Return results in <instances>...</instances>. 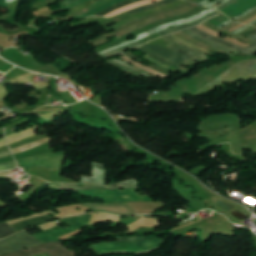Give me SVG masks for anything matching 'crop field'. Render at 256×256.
<instances>
[{
	"instance_id": "1",
	"label": "crop field",
	"mask_w": 256,
	"mask_h": 256,
	"mask_svg": "<svg viewBox=\"0 0 256 256\" xmlns=\"http://www.w3.org/2000/svg\"><path fill=\"white\" fill-rule=\"evenodd\" d=\"M75 216H79V215H75ZM75 216H71V217H75ZM90 216L91 215H84L76 218H71V217L60 218V219L71 218V219L61 220L62 222L68 223L70 225V228L63 229L60 227H56L44 232L32 234V236H34L41 243L56 241L58 240V237L68 234L70 232L76 231V229H79L87 225L90 220ZM32 236L26 231H24V232L15 234L7 239L1 240L0 255L14 252L25 247L40 244V242H38Z\"/></svg>"
},
{
	"instance_id": "2",
	"label": "crop field",
	"mask_w": 256,
	"mask_h": 256,
	"mask_svg": "<svg viewBox=\"0 0 256 256\" xmlns=\"http://www.w3.org/2000/svg\"><path fill=\"white\" fill-rule=\"evenodd\" d=\"M164 243L163 239L155 236L149 237H121L118 243H101L90 245L100 255L114 253H144L151 251Z\"/></svg>"
},
{
	"instance_id": "3",
	"label": "crop field",
	"mask_w": 256,
	"mask_h": 256,
	"mask_svg": "<svg viewBox=\"0 0 256 256\" xmlns=\"http://www.w3.org/2000/svg\"><path fill=\"white\" fill-rule=\"evenodd\" d=\"M164 38L171 43L170 45L167 46V48H169L177 53H180L182 55H185V56H187L193 60H196V61H210L209 58L207 57V55H205L199 51H196L194 49H191L185 45L180 44L172 37L168 36V37H164ZM143 47L153 51L154 53H156L168 60L177 62V63L182 64L187 67L193 68V66L196 64V62H193L180 54L172 52L161 45L148 46L145 44V45H143ZM199 57H201L202 60H198Z\"/></svg>"
},
{
	"instance_id": "4",
	"label": "crop field",
	"mask_w": 256,
	"mask_h": 256,
	"mask_svg": "<svg viewBox=\"0 0 256 256\" xmlns=\"http://www.w3.org/2000/svg\"><path fill=\"white\" fill-rule=\"evenodd\" d=\"M256 76V59L248 61H239L232 68L226 70L215 79L210 81L196 93L191 96H197L202 93H207L215 89L221 83L232 82V81H248Z\"/></svg>"
},
{
	"instance_id": "5",
	"label": "crop field",
	"mask_w": 256,
	"mask_h": 256,
	"mask_svg": "<svg viewBox=\"0 0 256 256\" xmlns=\"http://www.w3.org/2000/svg\"><path fill=\"white\" fill-rule=\"evenodd\" d=\"M136 190H95V191H79L82 195L99 198L107 203L113 202H131V201H153L148 196H139L135 194Z\"/></svg>"
},
{
	"instance_id": "6",
	"label": "crop field",
	"mask_w": 256,
	"mask_h": 256,
	"mask_svg": "<svg viewBox=\"0 0 256 256\" xmlns=\"http://www.w3.org/2000/svg\"><path fill=\"white\" fill-rule=\"evenodd\" d=\"M64 157L65 152H57L25 158L17 160L16 162L20 168L29 166H43L51 169H60L62 168Z\"/></svg>"
},
{
	"instance_id": "7",
	"label": "crop field",
	"mask_w": 256,
	"mask_h": 256,
	"mask_svg": "<svg viewBox=\"0 0 256 256\" xmlns=\"http://www.w3.org/2000/svg\"><path fill=\"white\" fill-rule=\"evenodd\" d=\"M45 251H47L50 256H75V251H67L61 242L41 244L31 247L29 251L21 250L3 256H30Z\"/></svg>"
},
{
	"instance_id": "8",
	"label": "crop field",
	"mask_w": 256,
	"mask_h": 256,
	"mask_svg": "<svg viewBox=\"0 0 256 256\" xmlns=\"http://www.w3.org/2000/svg\"><path fill=\"white\" fill-rule=\"evenodd\" d=\"M213 11H215V10L208 9V10L202 12L201 14H199V15H197V16H193V17L186 18V19H183V20H180V21H177V22H173V23H170V24L161 26V27L154 28V29H152V30H149V31H147V32H145V33H142V34L136 36L135 39H133V40H131V41H126V42H124V43H122V44H120V45H116V46H114V47H111V48H109V49H106V50L101 51V52L96 53V54L99 55V56H101V55L106 54V53H108V52H111V51H113V50H115V49H118V48H121V47H123V46H126V45H128V44H130V43L136 42V41H138V40H140V39H142V38L148 37V36H150V35H152V34H154V33H156V32L162 31V30H164V29H166V28H169V27H172V26H178V25H181V24H184V23H188V22L194 21V20H196V19L202 18V17H204L205 15H207V14L213 12Z\"/></svg>"
},
{
	"instance_id": "9",
	"label": "crop field",
	"mask_w": 256,
	"mask_h": 256,
	"mask_svg": "<svg viewBox=\"0 0 256 256\" xmlns=\"http://www.w3.org/2000/svg\"><path fill=\"white\" fill-rule=\"evenodd\" d=\"M48 220H51L49 215L43 216V217H40V218H36V219H33V220L21 222V223H18V224H14V225H11V227L16 232H19L23 229H26L28 227H32L36 224H39V223H42V222H45V221H48ZM11 227L6 222L0 224V239L8 237V236L16 233Z\"/></svg>"
},
{
	"instance_id": "10",
	"label": "crop field",
	"mask_w": 256,
	"mask_h": 256,
	"mask_svg": "<svg viewBox=\"0 0 256 256\" xmlns=\"http://www.w3.org/2000/svg\"><path fill=\"white\" fill-rule=\"evenodd\" d=\"M189 29H190L191 31H193L194 33H196V34H198V35H200V36H202V37H205V38H207V39H210V40H212V41H214V42H217V43H219V44L228 46V47H230V48H233V49H236V50H239V51H242V52L247 53V54H250V55H252V56H254V55L256 54V47H255V46H256V43L253 44L252 46H250V47L244 49V48H241V47H239V46H237V45L230 44V43H228V42H226V41H224V40H222V39L213 37V36H211V35H209V34L203 32V31H201V30H199V29H197V28H195V27L189 28ZM248 39L256 41V34L253 35L252 37L248 38Z\"/></svg>"
},
{
	"instance_id": "11",
	"label": "crop field",
	"mask_w": 256,
	"mask_h": 256,
	"mask_svg": "<svg viewBox=\"0 0 256 256\" xmlns=\"http://www.w3.org/2000/svg\"><path fill=\"white\" fill-rule=\"evenodd\" d=\"M106 62H108V63H110V64H112V65L122 69L123 71H125V72H127V73H129V74H131L133 76H136V77H138L140 79H142L141 76H144L147 79L158 78L156 76L150 75L149 73H147V72H145V71H143V70H141V69H139L137 67L129 65V64H127V63H125V62H123V61H121L119 59H112V60H109V61H106Z\"/></svg>"
},
{
	"instance_id": "12",
	"label": "crop field",
	"mask_w": 256,
	"mask_h": 256,
	"mask_svg": "<svg viewBox=\"0 0 256 256\" xmlns=\"http://www.w3.org/2000/svg\"><path fill=\"white\" fill-rule=\"evenodd\" d=\"M106 171L104 165L93 163V177L85 178L82 176L81 183L105 185Z\"/></svg>"
},
{
	"instance_id": "13",
	"label": "crop field",
	"mask_w": 256,
	"mask_h": 256,
	"mask_svg": "<svg viewBox=\"0 0 256 256\" xmlns=\"http://www.w3.org/2000/svg\"><path fill=\"white\" fill-rule=\"evenodd\" d=\"M51 188L63 189V190H86V189H109L110 187H101V186H89V185H74V184H53ZM112 189V188H111Z\"/></svg>"
},
{
	"instance_id": "14",
	"label": "crop field",
	"mask_w": 256,
	"mask_h": 256,
	"mask_svg": "<svg viewBox=\"0 0 256 256\" xmlns=\"http://www.w3.org/2000/svg\"><path fill=\"white\" fill-rule=\"evenodd\" d=\"M219 14H221V13L215 12V13L210 14V15H208V16H206V17L200 19V20H197V21L193 22V23H190V24H187V25H183V26H179V27L170 28V29L164 30V31H162V32H159V34H160L161 36H165V35H168V34L177 32V31H179V30H183V29L189 28V27H191V26L198 25V24L202 23L203 21H205V20H207V19H210V18H212V17H214V16H216V15H219Z\"/></svg>"
},
{
	"instance_id": "15",
	"label": "crop field",
	"mask_w": 256,
	"mask_h": 256,
	"mask_svg": "<svg viewBox=\"0 0 256 256\" xmlns=\"http://www.w3.org/2000/svg\"><path fill=\"white\" fill-rule=\"evenodd\" d=\"M183 32L186 33L187 35H189V36H191V37H193V38H195V39H197V40L203 42V43H206V44H209V45H211V46H214V47H216V48H218V49H220V50H224V51L231 52V53H235V54L239 53V51L230 49V48H228V47L219 45V44L214 43V42H211V41H209V40H207V39H205V38H202V37H200V36H198V35L192 33V32L189 31V30L183 31Z\"/></svg>"
},
{
	"instance_id": "16",
	"label": "crop field",
	"mask_w": 256,
	"mask_h": 256,
	"mask_svg": "<svg viewBox=\"0 0 256 256\" xmlns=\"http://www.w3.org/2000/svg\"><path fill=\"white\" fill-rule=\"evenodd\" d=\"M137 50H139V51H141V52H143V53H145V54H147V55H149V56H151V57L157 59L158 61H160V62H162V63H164V64H166V65H169V66H172V67H175V66H176L177 69L182 70V71H185V72L190 71V69L183 68V67H181V66H179V65H176L177 63L174 64V63H172V62H170V61H168V60H165V59H163V58L157 56L156 54H154V53H152V52H150V51H148V50H146V49H144V48H142V47L139 48V49H137Z\"/></svg>"
},
{
	"instance_id": "17",
	"label": "crop field",
	"mask_w": 256,
	"mask_h": 256,
	"mask_svg": "<svg viewBox=\"0 0 256 256\" xmlns=\"http://www.w3.org/2000/svg\"><path fill=\"white\" fill-rule=\"evenodd\" d=\"M174 1H177V0H162V1H159V2L154 3V4H150V5L138 7V8L133 9V10H129V11L125 12V13L136 14V13L144 11L146 9L154 8V7H157V6H160V5H163V4H167V3H171V2H174Z\"/></svg>"
},
{
	"instance_id": "18",
	"label": "crop field",
	"mask_w": 256,
	"mask_h": 256,
	"mask_svg": "<svg viewBox=\"0 0 256 256\" xmlns=\"http://www.w3.org/2000/svg\"><path fill=\"white\" fill-rule=\"evenodd\" d=\"M121 58L125 59L126 61L130 62L131 64H133V65H135V66H137V67H139L143 70H146V71H148V72H150V73H152V74H154L158 77H162V78L168 77V76H164V75H162V74H160V73H158V72H156V71H154V70H152V69H150V68H148V67H146V66H144V65H142V64L126 57V56H124V55L121 56Z\"/></svg>"
},
{
	"instance_id": "19",
	"label": "crop field",
	"mask_w": 256,
	"mask_h": 256,
	"mask_svg": "<svg viewBox=\"0 0 256 256\" xmlns=\"http://www.w3.org/2000/svg\"><path fill=\"white\" fill-rule=\"evenodd\" d=\"M155 1H157V0H144V1L136 2V3H133V4L128 5L126 7L120 8V9H118V10H116V11H114V12H112V13L104 16V17H110V16L116 15V14L122 12V11L132 9L136 6L143 5V4H146V3H149V2H155Z\"/></svg>"
},
{
	"instance_id": "20",
	"label": "crop field",
	"mask_w": 256,
	"mask_h": 256,
	"mask_svg": "<svg viewBox=\"0 0 256 256\" xmlns=\"http://www.w3.org/2000/svg\"><path fill=\"white\" fill-rule=\"evenodd\" d=\"M122 1H124V0H115V1H112V2H110V3H108V4H106V5H104V6L100 7V8H98V9L92 10V11H90V12H88V13H85V14H83V15L77 17V18H86V17L93 16V15H95L96 13H98V12H100V11H102V10H104V9H106V8H108V7L112 6V5H114V4L120 3V2H122Z\"/></svg>"
},
{
	"instance_id": "21",
	"label": "crop field",
	"mask_w": 256,
	"mask_h": 256,
	"mask_svg": "<svg viewBox=\"0 0 256 256\" xmlns=\"http://www.w3.org/2000/svg\"><path fill=\"white\" fill-rule=\"evenodd\" d=\"M197 28H199V29H201V30H203V31H206V32H208V33H210V34H212V35H214V36H216V37H219V34H218V33L214 32V31H212V30H209V29H207L206 27H204V26H202V25L197 26ZM219 38H220V37H219ZM226 40H228V41H230V42H233V43H235V44H237V45H240V46H242V47L250 46L249 44L242 43V42H240V41H238V40H236V39L230 38V37H226Z\"/></svg>"
},
{
	"instance_id": "22",
	"label": "crop field",
	"mask_w": 256,
	"mask_h": 256,
	"mask_svg": "<svg viewBox=\"0 0 256 256\" xmlns=\"http://www.w3.org/2000/svg\"><path fill=\"white\" fill-rule=\"evenodd\" d=\"M136 1H140V0H127V1L122 2V3H120V4L114 5V6L110 7V8H108V9H106V10H104V11L98 13V14L95 15V16H103V15H105V14H107V13H109V12H111V11L117 9V8L126 6V5L131 4V3H133V2H136Z\"/></svg>"
},
{
	"instance_id": "23",
	"label": "crop field",
	"mask_w": 256,
	"mask_h": 256,
	"mask_svg": "<svg viewBox=\"0 0 256 256\" xmlns=\"http://www.w3.org/2000/svg\"><path fill=\"white\" fill-rule=\"evenodd\" d=\"M111 187L115 189L137 188L135 180L125 181L123 183H114Z\"/></svg>"
},
{
	"instance_id": "24",
	"label": "crop field",
	"mask_w": 256,
	"mask_h": 256,
	"mask_svg": "<svg viewBox=\"0 0 256 256\" xmlns=\"http://www.w3.org/2000/svg\"><path fill=\"white\" fill-rule=\"evenodd\" d=\"M227 1L228 0H215L214 2L211 3L210 0H205V1L200 2L199 4H202V5H205V6L209 7V8L218 10V8L216 7V4L218 2H221L223 4V3L227 2ZM222 4H220V5H222Z\"/></svg>"
},
{
	"instance_id": "25",
	"label": "crop field",
	"mask_w": 256,
	"mask_h": 256,
	"mask_svg": "<svg viewBox=\"0 0 256 256\" xmlns=\"http://www.w3.org/2000/svg\"><path fill=\"white\" fill-rule=\"evenodd\" d=\"M125 55H127V56H129V57H131V58H133V59H135V60H137L136 57H135V55H133V54L130 53V52L126 53ZM137 61H138V60H137ZM139 62H140V61H139ZM141 63H142V62H141ZM143 64H144V63H143ZM145 65H146V64H145ZM147 66H149V67H151V68H153V69H155V70H157V71H159V72H161V73H163V74H165V75L170 76L169 72L163 70V69L160 68V67H157V66L152 65V64H149V65H147Z\"/></svg>"
},
{
	"instance_id": "26",
	"label": "crop field",
	"mask_w": 256,
	"mask_h": 256,
	"mask_svg": "<svg viewBox=\"0 0 256 256\" xmlns=\"http://www.w3.org/2000/svg\"><path fill=\"white\" fill-rule=\"evenodd\" d=\"M170 36H172V37L175 38L177 41H179V42H181V43H183V44H185V45H187V46H189V47H192V48H194V49H197V50H200V51H202V52L207 53L206 50L201 49V48H198V47H196V46H194V45H192V44L186 42L185 40L181 39L180 37H178V36H176V35H174V34H172V35H170ZM207 54H209V53H207ZM209 55H211V54H209ZM211 56H214V55H211Z\"/></svg>"
},
{
	"instance_id": "27",
	"label": "crop field",
	"mask_w": 256,
	"mask_h": 256,
	"mask_svg": "<svg viewBox=\"0 0 256 256\" xmlns=\"http://www.w3.org/2000/svg\"><path fill=\"white\" fill-rule=\"evenodd\" d=\"M97 1H99V0H91V1H89V2H87V3H85V4H83V5H81V6L77 7V8H75V9L70 10V11H69V14L75 13V12H78V11H81V10H83V9H85V8H87V7H89L90 5L94 4V3L97 2Z\"/></svg>"
},
{
	"instance_id": "28",
	"label": "crop field",
	"mask_w": 256,
	"mask_h": 256,
	"mask_svg": "<svg viewBox=\"0 0 256 256\" xmlns=\"http://www.w3.org/2000/svg\"><path fill=\"white\" fill-rule=\"evenodd\" d=\"M13 168H16L15 161L4 163V164H0V171L11 170Z\"/></svg>"
},
{
	"instance_id": "29",
	"label": "crop field",
	"mask_w": 256,
	"mask_h": 256,
	"mask_svg": "<svg viewBox=\"0 0 256 256\" xmlns=\"http://www.w3.org/2000/svg\"><path fill=\"white\" fill-rule=\"evenodd\" d=\"M139 45H141V44H140V43H136V44L131 45V46L126 47V48H136V47H138ZM126 48H123V49H121V50H118V51H115V52H112V53H109V54H106V55H103L102 57L107 58V57H110V56H113V55L122 53L123 50L126 49Z\"/></svg>"
},
{
	"instance_id": "30",
	"label": "crop field",
	"mask_w": 256,
	"mask_h": 256,
	"mask_svg": "<svg viewBox=\"0 0 256 256\" xmlns=\"http://www.w3.org/2000/svg\"><path fill=\"white\" fill-rule=\"evenodd\" d=\"M255 9H256V6L253 7V8H251V9H249L248 11H246V12H244V13H242V14L236 16V17H234L233 19H235V20L237 21L238 19H241L242 17H244V16H246L247 14L251 13V12L254 11Z\"/></svg>"
},
{
	"instance_id": "31",
	"label": "crop field",
	"mask_w": 256,
	"mask_h": 256,
	"mask_svg": "<svg viewBox=\"0 0 256 256\" xmlns=\"http://www.w3.org/2000/svg\"><path fill=\"white\" fill-rule=\"evenodd\" d=\"M251 26H244V27H242V28H240V29H238V30H236V31H234L233 33H235V34H238V33H240V32H242V31H244V30H246V29H248V28H250Z\"/></svg>"
},
{
	"instance_id": "32",
	"label": "crop field",
	"mask_w": 256,
	"mask_h": 256,
	"mask_svg": "<svg viewBox=\"0 0 256 256\" xmlns=\"http://www.w3.org/2000/svg\"><path fill=\"white\" fill-rule=\"evenodd\" d=\"M76 1H78V0H68V1L60 3V6L63 7L65 5H67V4H70V3H73V2H76Z\"/></svg>"
},
{
	"instance_id": "33",
	"label": "crop field",
	"mask_w": 256,
	"mask_h": 256,
	"mask_svg": "<svg viewBox=\"0 0 256 256\" xmlns=\"http://www.w3.org/2000/svg\"><path fill=\"white\" fill-rule=\"evenodd\" d=\"M235 0H230L227 3H225L224 5H222L221 7H219V11L223 10L225 7H227L229 4H231L232 2H234Z\"/></svg>"
},
{
	"instance_id": "34",
	"label": "crop field",
	"mask_w": 256,
	"mask_h": 256,
	"mask_svg": "<svg viewBox=\"0 0 256 256\" xmlns=\"http://www.w3.org/2000/svg\"><path fill=\"white\" fill-rule=\"evenodd\" d=\"M8 155H11L10 150H8V151H6V152H3V153H0V158L5 157V156H8Z\"/></svg>"
},
{
	"instance_id": "35",
	"label": "crop field",
	"mask_w": 256,
	"mask_h": 256,
	"mask_svg": "<svg viewBox=\"0 0 256 256\" xmlns=\"http://www.w3.org/2000/svg\"><path fill=\"white\" fill-rule=\"evenodd\" d=\"M242 26H244V25H243V24H239V25H237V26H235V27L229 29L228 31L232 32V31H234V30H236V29H238V28H240V27H242Z\"/></svg>"
},
{
	"instance_id": "36",
	"label": "crop field",
	"mask_w": 256,
	"mask_h": 256,
	"mask_svg": "<svg viewBox=\"0 0 256 256\" xmlns=\"http://www.w3.org/2000/svg\"><path fill=\"white\" fill-rule=\"evenodd\" d=\"M4 1H5V0H0V6L7 7V8H8L9 4L5 3Z\"/></svg>"
},
{
	"instance_id": "37",
	"label": "crop field",
	"mask_w": 256,
	"mask_h": 256,
	"mask_svg": "<svg viewBox=\"0 0 256 256\" xmlns=\"http://www.w3.org/2000/svg\"><path fill=\"white\" fill-rule=\"evenodd\" d=\"M255 19H256V16H254L251 19L247 20L246 22H244V24H248V23L254 21Z\"/></svg>"
},
{
	"instance_id": "38",
	"label": "crop field",
	"mask_w": 256,
	"mask_h": 256,
	"mask_svg": "<svg viewBox=\"0 0 256 256\" xmlns=\"http://www.w3.org/2000/svg\"><path fill=\"white\" fill-rule=\"evenodd\" d=\"M232 21L231 20H229V21H227V22H225V23H223V24H221V25H219L218 27H223V26H225V25H227V24H229V23H231Z\"/></svg>"
},
{
	"instance_id": "39",
	"label": "crop field",
	"mask_w": 256,
	"mask_h": 256,
	"mask_svg": "<svg viewBox=\"0 0 256 256\" xmlns=\"http://www.w3.org/2000/svg\"><path fill=\"white\" fill-rule=\"evenodd\" d=\"M255 33H256V29L253 30L252 32L248 33V34H249V36H251V35H253V34H255ZM248 34H247V35H248ZM247 35H245L244 37H246Z\"/></svg>"
},
{
	"instance_id": "40",
	"label": "crop field",
	"mask_w": 256,
	"mask_h": 256,
	"mask_svg": "<svg viewBox=\"0 0 256 256\" xmlns=\"http://www.w3.org/2000/svg\"><path fill=\"white\" fill-rule=\"evenodd\" d=\"M35 256H49L47 253L40 254V255H35Z\"/></svg>"
},
{
	"instance_id": "41",
	"label": "crop field",
	"mask_w": 256,
	"mask_h": 256,
	"mask_svg": "<svg viewBox=\"0 0 256 256\" xmlns=\"http://www.w3.org/2000/svg\"><path fill=\"white\" fill-rule=\"evenodd\" d=\"M192 1L198 3V2H200V1H202V0H192Z\"/></svg>"
},
{
	"instance_id": "42",
	"label": "crop field",
	"mask_w": 256,
	"mask_h": 256,
	"mask_svg": "<svg viewBox=\"0 0 256 256\" xmlns=\"http://www.w3.org/2000/svg\"><path fill=\"white\" fill-rule=\"evenodd\" d=\"M13 1H15V0H7L6 2H9V3H11V2H13Z\"/></svg>"
},
{
	"instance_id": "43",
	"label": "crop field",
	"mask_w": 256,
	"mask_h": 256,
	"mask_svg": "<svg viewBox=\"0 0 256 256\" xmlns=\"http://www.w3.org/2000/svg\"><path fill=\"white\" fill-rule=\"evenodd\" d=\"M255 23H256V20H255L254 22L250 23V25H253V24H255Z\"/></svg>"
}]
</instances>
